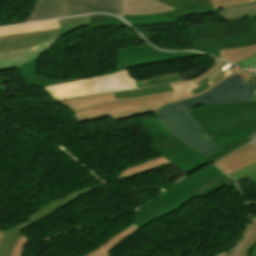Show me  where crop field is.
I'll return each mask as SVG.
<instances>
[{
  "label": "crop field",
  "mask_w": 256,
  "mask_h": 256,
  "mask_svg": "<svg viewBox=\"0 0 256 256\" xmlns=\"http://www.w3.org/2000/svg\"><path fill=\"white\" fill-rule=\"evenodd\" d=\"M189 112L221 150L256 131V102L208 104Z\"/></svg>",
  "instance_id": "1"
},
{
  "label": "crop field",
  "mask_w": 256,
  "mask_h": 256,
  "mask_svg": "<svg viewBox=\"0 0 256 256\" xmlns=\"http://www.w3.org/2000/svg\"><path fill=\"white\" fill-rule=\"evenodd\" d=\"M155 113L173 136L197 152L207 156L219 150L180 101L164 105Z\"/></svg>",
  "instance_id": "2"
},
{
  "label": "crop field",
  "mask_w": 256,
  "mask_h": 256,
  "mask_svg": "<svg viewBox=\"0 0 256 256\" xmlns=\"http://www.w3.org/2000/svg\"><path fill=\"white\" fill-rule=\"evenodd\" d=\"M238 73L244 80L242 81L244 84L249 82L250 73L244 72L242 70H238L233 72L232 74L226 76L225 78L221 79L216 84L220 83L224 79L228 78L231 75ZM214 84V85H216ZM213 85V86H214ZM211 86L210 88H212ZM203 91L202 93L208 91ZM201 94V93H200ZM199 95V94H197ZM196 96V95H193ZM192 97V96H190ZM188 98V97H186ZM184 99V98H182ZM181 100V99H178ZM174 100V101H178ZM168 96L162 97H153L148 99L136 100V101H129V102H114L82 111L75 112L77 117V122H86L93 119H100L106 116H112L114 120L122 119V118H129L137 115H142L146 113L154 112L160 106L174 102Z\"/></svg>",
  "instance_id": "3"
},
{
  "label": "crop field",
  "mask_w": 256,
  "mask_h": 256,
  "mask_svg": "<svg viewBox=\"0 0 256 256\" xmlns=\"http://www.w3.org/2000/svg\"><path fill=\"white\" fill-rule=\"evenodd\" d=\"M138 88L128 70L44 88L55 100Z\"/></svg>",
  "instance_id": "4"
},
{
  "label": "crop field",
  "mask_w": 256,
  "mask_h": 256,
  "mask_svg": "<svg viewBox=\"0 0 256 256\" xmlns=\"http://www.w3.org/2000/svg\"><path fill=\"white\" fill-rule=\"evenodd\" d=\"M122 0H37L27 21L87 12H108L121 16Z\"/></svg>",
  "instance_id": "5"
},
{
  "label": "crop field",
  "mask_w": 256,
  "mask_h": 256,
  "mask_svg": "<svg viewBox=\"0 0 256 256\" xmlns=\"http://www.w3.org/2000/svg\"><path fill=\"white\" fill-rule=\"evenodd\" d=\"M220 174V171L213 165H210L202 170H199L185 179L179 181L150 202L139 208L136 221L143 216L179 199L182 198L198 188L224 176Z\"/></svg>",
  "instance_id": "6"
},
{
  "label": "crop field",
  "mask_w": 256,
  "mask_h": 256,
  "mask_svg": "<svg viewBox=\"0 0 256 256\" xmlns=\"http://www.w3.org/2000/svg\"><path fill=\"white\" fill-rule=\"evenodd\" d=\"M147 126L148 131L154 137V147L159 150L163 155L171 159L176 165H178L187 174L212 163L206 157L198 154L187 145L181 143L171 134L166 138L161 136L160 131L155 127L152 120L143 121Z\"/></svg>",
  "instance_id": "7"
},
{
  "label": "crop field",
  "mask_w": 256,
  "mask_h": 256,
  "mask_svg": "<svg viewBox=\"0 0 256 256\" xmlns=\"http://www.w3.org/2000/svg\"><path fill=\"white\" fill-rule=\"evenodd\" d=\"M242 80L238 74L234 75L213 87L208 92L197 97L181 100V102L189 109L208 103L251 101L255 85H244L241 82Z\"/></svg>",
  "instance_id": "8"
},
{
  "label": "crop field",
  "mask_w": 256,
  "mask_h": 256,
  "mask_svg": "<svg viewBox=\"0 0 256 256\" xmlns=\"http://www.w3.org/2000/svg\"><path fill=\"white\" fill-rule=\"evenodd\" d=\"M61 29L0 37V53L33 47L61 37L63 34L89 25L88 16L58 20Z\"/></svg>",
  "instance_id": "9"
},
{
  "label": "crop field",
  "mask_w": 256,
  "mask_h": 256,
  "mask_svg": "<svg viewBox=\"0 0 256 256\" xmlns=\"http://www.w3.org/2000/svg\"><path fill=\"white\" fill-rule=\"evenodd\" d=\"M118 52L120 57V63L116 64L118 71L161 61L202 56L196 53H166L151 47L147 43L120 47Z\"/></svg>",
  "instance_id": "10"
},
{
  "label": "crop field",
  "mask_w": 256,
  "mask_h": 256,
  "mask_svg": "<svg viewBox=\"0 0 256 256\" xmlns=\"http://www.w3.org/2000/svg\"><path fill=\"white\" fill-rule=\"evenodd\" d=\"M168 5L178 8L175 11L140 15L123 16L125 20L134 26L154 25L178 22L179 17L191 15V12L200 9L212 8L210 0H160Z\"/></svg>",
  "instance_id": "11"
},
{
  "label": "crop field",
  "mask_w": 256,
  "mask_h": 256,
  "mask_svg": "<svg viewBox=\"0 0 256 256\" xmlns=\"http://www.w3.org/2000/svg\"><path fill=\"white\" fill-rule=\"evenodd\" d=\"M101 186L95 185L84 190L75 192L73 194L67 195L49 205L42 208L41 210L37 211L36 213L32 214L31 216L27 217L29 221H26L8 231L1 230L5 237L0 244V256H10L11 250L13 245L16 243L17 239L21 235V230L25 229L27 226L33 224L34 222L40 220L41 218L47 216L48 214L52 213L53 211L59 209L60 207L66 205L67 203L85 195Z\"/></svg>",
  "instance_id": "12"
},
{
  "label": "crop field",
  "mask_w": 256,
  "mask_h": 256,
  "mask_svg": "<svg viewBox=\"0 0 256 256\" xmlns=\"http://www.w3.org/2000/svg\"><path fill=\"white\" fill-rule=\"evenodd\" d=\"M186 29L194 40L217 38L254 31L248 19L211 25H197Z\"/></svg>",
  "instance_id": "13"
},
{
  "label": "crop field",
  "mask_w": 256,
  "mask_h": 256,
  "mask_svg": "<svg viewBox=\"0 0 256 256\" xmlns=\"http://www.w3.org/2000/svg\"><path fill=\"white\" fill-rule=\"evenodd\" d=\"M232 181L230 178H228L227 176L197 190L196 192L140 219L139 221L135 222V224L137 226H139L140 228H142L143 226L179 209L182 205H184L188 200L196 197V196H206L207 194L213 192L214 190L220 188L221 186L227 184L228 182ZM185 200V201H183Z\"/></svg>",
  "instance_id": "14"
},
{
  "label": "crop field",
  "mask_w": 256,
  "mask_h": 256,
  "mask_svg": "<svg viewBox=\"0 0 256 256\" xmlns=\"http://www.w3.org/2000/svg\"><path fill=\"white\" fill-rule=\"evenodd\" d=\"M256 162V143L252 142L214 163L227 175Z\"/></svg>",
  "instance_id": "15"
},
{
  "label": "crop field",
  "mask_w": 256,
  "mask_h": 256,
  "mask_svg": "<svg viewBox=\"0 0 256 256\" xmlns=\"http://www.w3.org/2000/svg\"><path fill=\"white\" fill-rule=\"evenodd\" d=\"M56 40L47 42L45 44H42V45H39V46H36L33 48L1 54L0 55V72L16 68L18 65L36 57L42 53L49 51L51 45Z\"/></svg>",
  "instance_id": "16"
},
{
  "label": "crop field",
  "mask_w": 256,
  "mask_h": 256,
  "mask_svg": "<svg viewBox=\"0 0 256 256\" xmlns=\"http://www.w3.org/2000/svg\"><path fill=\"white\" fill-rule=\"evenodd\" d=\"M256 44V32H249L217 39L194 41V47L228 49Z\"/></svg>",
  "instance_id": "17"
},
{
  "label": "crop field",
  "mask_w": 256,
  "mask_h": 256,
  "mask_svg": "<svg viewBox=\"0 0 256 256\" xmlns=\"http://www.w3.org/2000/svg\"><path fill=\"white\" fill-rule=\"evenodd\" d=\"M140 228L137 226L131 225L126 229L122 230L121 233L111 237L106 243L100 245L95 251L85 256H110L107 252L112 250L115 246L120 244L126 237L135 233ZM28 239L21 236L18 242L15 244L11 256H21L22 250L25 247ZM114 244V245H112Z\"/></svg>",
  "instance_id": "18"
},
{
  "label": "crop field",
  "mask_w": 256,
  "mask_h": 256,
  "mask_svg": "<svg viewBox=\"0 0 256 256\" xmlns=\"http://www.w3.org/2000/svg\"><path fill=\"white\" fill-rule=\"evenodd\" d=\"M174 9L176 8L165 5L157 0H124L123 15L150 14Z\"/></svg>",
  "instance_id": "19"
},
{
  "label": "crop field",
  "mask_w": 256,
  "mask_h": 256,
  "mask_svg": "<svg viewBox=\"0 0 256 256\" xmlns=\"http://www.w3.org/2000/svg\"><path fill=\"white\" fill-rule=\"evenodd\" d=\"M37 61H38V57L17 67L18 70L21 72L24 81L29 86L46 87V86H50V85H55V84L78 80L77 78H75V79H46V78H42V77L36 75Z\"/></svg>",
  "instance_id": "20"
},
{
  "label": "crop field",
  "mask_w": 256,
  "mask_h": 256,
  "mask_svg": "<svg viewBox=\"0 0 256 256\" xmlns=\"http://www.w3.org/2000/svg\"><path fill=\"white\" fill-rule=\"evenodd\" d=\"M225 65L226 63L221 65L211 75H209L206 79L202 80L200 83L196 85L194 84L193 80L170 84L174 92V94H171L170 97L172 98V100H174V99L190 96L193 94H197L207 89L210 86L206 85L205 83L217 77L218 75L222 74L223 71H221L220 69Z\"/></svg>",
  "instance_id": "21"
},
{
  "label": "crop field",
  "mask_w": 256,
  "mask_h": 256,
  "mask_svg": "<svg viewBox=\"0 0 256 256\" xmlns=\"http://www.w3.org/2000/svg\"><path fill=\"white\" fill-rule=\"evenodd\" d=\"M114 96L113 93L104 94V95H97L91 97H79L73 99L62 100V104L69 106L74 112L77 110L113 102Z\"/></svg>",
  "instance_id": "22"
},
{
  "label": "crop field",
  "mask_w": 256,
  "mask_h": 256,
  "mask_svg": "<svg viewBox=\"0 0 256 256\" xmlns=\"http://www.w3.org/2000/svg\"><path fill=\"white\" fill-rule=\"evenodd\" d=\"M57 28H60L57 20L20 25V26L4 27V28H0V36L34 32V31H42V30H49V29H57Z\"/></svg>",
  "instance_id": "23"
},
{
  "label": "crop field",
  "mask_w": 256,
  "mask_h": 256,
  "mask_svg": "<svg viewBox=\"0 0 256 256\" xmlns=\"http://www.w3.org/2000/svg\"><path fill=\"white\" fill-rule=\"evenodd\" d=\"M256 244V217L249 224L243 240L236 246L229 256H249L250 250Z\"/></svg>",
  "instance_id": "24"
},
{
  "label": "crop field",
  "mask_w": 256,
  "mask_h": 256,
  "mask_svg": "<svg viewBox=\"0 0 256 256\" xmlns=\"http://www.w3.org/2000/svg\"><path fill=\"white\" fill-rule=\"evenodd\" d=\"M219 58L234 64L256 54V45L241 47L237 49L220 50Z\"/></svg>",
  "instance_id": "25"
},
{
  "label": "crop field",
  "mask_w": 256,
  "mask_h": 256,
  "mask_svg": "<svg viewBox=\"0 0 256 256\" xmlns=\"http://www.w3.org/2000/svg\"><path fill=\"white\" fill-rule=\"evenodd\" d=\"M168 164H171V162L167 161L164 157L152 160L150 162L122 171L118 181Z\"/></svg>",
  "instance_id": "26"
},
{
  "label": "crop field",
  "mask_w": 256,
  "mask_h": 256,
  "mask_svg": "<svg viewBox=\"0 0 256 256\" xmlns=\"http://www.w3.org/2000/svg\"><path fill=\"white\" fill-rule=\"evenodd\" d=\"M224 10L225 11L223 12L217 13V15L229 20L249 17L256 15V3L248 4L245 6L231 7Z\"/></svg>",
  "instance_id": "27"
},
{
  "label": "crop field",
  "mask_w": 256,
  "mask_h": 256,
  "mask_svg": "<svg viewBox=\"0 0 256 256\" xmlns=\"http://www.w3.org/2000/svg\"><path fill=\"white\" fill-rule=\"evenodd\" d=\"M172 91L169 84L114 93L115 98H131Z\"/></svg>",
  "instance_id": "28"
},
{
  "label": "crop field",
  "mask_w": 256,
  "mask_h": 256,
  "mask_svg": "<svg viewBox=\"0 0 256 256\" xmlns=\"http://www.w3.org/2000/svg\"><path fill=\"white\" fill-rule=\"evenodd\" d=\"M91 29L110 26H127L123 21L108 15L89 16Z\"/></svg>",
  "instance_id": "29"
},
{
  "label": "crop field",
  "mask_w": 256,
  "mask_h": 256,
  "mask_svg": "<svg viewBox=\"0 0 256 256\" xmlns=\"http://www.w3.org/2000/svg\"><path fill=\"white\" fill-rule=\"evenodd\" d=\"M180 80H183L181 75L179 73H176V74H167L159 77H154L149 80H143L142 83H143V86L145 87V86L180 81Z\"/></svg>",
  "instance_id": "30"
},
{
  "label": "crop field",
  "mask_w": 256,
  "mask_h": 256,
  "mask_svg": "<svg viewBox=\"0 0 256 256\" xmlns=\"http://www.w3.org/2000/svg\"><path fill=\"white\" fill-rule=\"evenodd\" d=\"M229 176L236 182H239L240 180L246 177H249L255 184L256 183V163L240 171H237Z\"/></svg>",
  "instance_id": "31"
},
{
  "label": "crop field",
  "mask_w": 256,
  "mask_h": 256,
  "mask_svg": "<svg viewBox=\"0 0 256 256\" xmlns=\"http://www.w3.org/2000/svg\"><path fill=\"white\" fill-rule=\"evenodd\" d=\"M251 140H253V139L247 137V138H245V139L235 143L234 145H232V146H230V147H228V148H226V149H224L222 151L219 150V151H217V152H215V153H213V154H211V155H209L207 157L210 160H212L213 162H215L218 158L228 154L229 152L233 151L234 149L240 147L241 145H243V144H245V143H247V142H249Z\"/></svg>",
  "instance_id": "32"
},
{
  "label": "crop field",
  "mask_w": 256,
  "mask_h": 256,
  "mask_svg": "<svg viewBox=\"0 0 256 256\" xmlns=\"http://www.w3.org/2000/svg\"><path fill=\"white\" fill-rule=\"evenodd\" d=\"M256 0H211L212 6L219 7L223 6V8L237 6V5H244L248 3L255 2Z\"/></svg>",
  "instance_id": "33"
},
{
  "label": "crop field",
  "mask_w": 256,
  "mask_h": 256,
  "mask_svg": "<svg viewBox=\"0 0 256 256\" xmlns=\"http://www.w3.org/2000/svg\"><path fill=\"white\" fill-rule=\"evenodd\" d=\"M221 64H223V62L221 61H217L210 69H208L204 74L198 76L197 78L193 79L195 84L199 81H201L202 79L206 78L210 73H212L216 68H218Z\"/></svg>",
  "instance_id": "34"
},
{
  "label": "crop field",
  "mask_w": 256,
  "mask_h": 256,
  "mask_svg": "<svg viewBox=\"0 0 256 256\" xmlns=\"http://www.w3.org/2000/svg\"><path fill=\"white\" fill-rule=\"evenodd\" d=\"M237 65H240L242 67H253L255 68L256 67V55L238 63Z\"/></svg>",
  "instance_id": "35"
},
{
  "label": "crop field",
  "mask_w": 256,
  "mask_h": 256,
  "mask_svg": "<svg viewBox=\"0 0 256 256\" xmlns=\"http://www.w3.org/2000/svg\"><path fill=\"white\" fill-rule=\"evenodd\" d=\"M192 50H196V51H202V52H207L213 56H218V51L219 50H214V49H203V48H193Z\"/></svg>",
  "instance_id": "36"
},
{
  "label": "crop field",
  "mask_w": 256,
  "mask_h": 256,
  "mask_svg": "<svg viewBox=\"0 0 256 256\" xmlns=\"http://www.w3.org/2000/svg\"><path fill=\"white\" fill-rule=\"evenodd\" d=\"M171 93L172 92L163 93V94H156V95H150V96L137 97V98H132V99H115V100L116 101H129V100H136V99H142V98L153 97V96L168 95V94H171Z\"/></svg>",
  "instance_id": "37"
},
{
  "label": "crop field",
  "mask_w": 256,
  "mask_h": 256,
  "mask_svg": "<svg viewBox=\"0 0 256 256\" xmlns=\"http://www.w3.org/2000/svg\"><path fill=\"white\" fill-rule=\"evenodd\" d=\"M223 77H225L223 74L222 75H220V76H218L217 78H215V79H213V80H211L210 82H208V83H206V84H208V85H213L214 83H216L217 81H219L221 78H223Z\"/></svg>",
  "instance_id": "38"
},
{
  "label": "crop field",
  "mask_w": 256,
  "mask_h": 256,
  "mask_svg": "<svg viewBox=\"0 0 256 256\" xmlns=\"http://www.w3.org/2000/svg\"><path fill=\"white\" fill-rule=\"evenodd\" d=\"M248 19H249L251 25L253 26V28H254L255 31H256V16H254V17H249Z\"/></svg>",
  "instance_id": "39"
},
{
  "label": "crop field",
  "mask_w": 256,
  "mask_h": 256,
  "mask_svg": "<svg viewBox=\"0 0 256 256\" xmlns=\"http://www.w3.org/2000/svg\"><path fill=\"white\" fill-rule=\"evenodd\" d=\"M250 256H256V246L251 250Z\"/></svg>",
  "instance_id": "40"
},
{
  "label": "crop field",
  "mask_w": 256,
  "mask_h": 256,
  "mask_svg": "<svg viewBox=\"0 0 256 256\" xmlns=\"http://www.w3.org/2000/svg\"><path fill=\"white\" fill-rule=\"evenodd\" d=\"M228 253H223V254H219V255H216V256H226Z\"/></svg>",
  "instance_id": "41"
},
{
  "label": "crop field",
  "mask_w": 256,
  "mask_h": 256,
  "mask_svg": "<svg viewBox=\"0 0 256 256\" xmlns=\"http://www.w3.org/2000/svg\"><path fill=\"white\" fill-rule=\"evenodd\" d=\"M3 234L2 233H0V242H1V240H2V238H3Z\"/></svg>",
  "instance_id": "42"
}]
</instances>
